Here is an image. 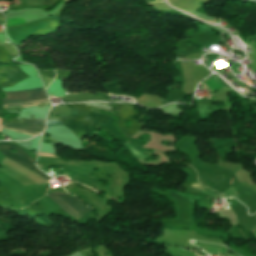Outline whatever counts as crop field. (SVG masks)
<instances>
[{
  "label": "crop field",
  "mask_w": 256,
  "mask_h": 256,
  "mask_svg": "<svg viewBox=\"0 0 256 256\" xmlns=\"http://www.w3.org/2000/svg\"><path fill=\"white\" fill-rule=\"evenodd\" d=\"M204 84L212 92L225 87L224 83L221 80H219L216 76H212L209 80L205 81ZM204 84H202V86L206 87Z\"/></svg>",
  "instance_id": "crop-field-5"
},
{
  "label": "crop field",
  "mask_w": 256,
  "mask_h": 256,
  "mask_svg": "<svg viewBox=\"0 0 256 256\" xmlns=\"http://www.w3.org/2000/svg\"><path fill=\"white\" fill-rule=\"evenodd\" d=\"M58 196H60L65 202H67L69 205L73 206L79 213H81L82 215L89 210L90 208H88L82 201H80L77 198H73L71 196H67L65 194H61V193H56ZM57 195L55 194H49V196L51 197V199L57 204L59 205L61 208H63L64 210H66L73 218L75 219H79L80 215L74 208L70 207L67 203H65L61 198H59ZM65 211V212H66Z\"/></svg>",
  "instance_id": "crop-field-2"
},
{
  "label": "crop field",
  "mask_w": 256,
  "mask_h": 256,
  "mask_svg": "<svg viewBox=\"0 0 256 256\" xmlns=\"http://www.w3.org/2000/svg\"><path fill=\"white\" fill-rule=\"evenodd\" d=\"M224 210H226V209H224Z\"/></svg>",
  "instance_id": "crop-field-11"
},
{
  "label": "crop field",
  "mask_w": 256,
  "mask_h": 256,
  "mask_svg": "<svg viewBox=\"0 0 256 256\" xmlns=\"http://www.w3.org/2000/svg\"><path fill=\"white\" fill-rule=\"evenodd\" d=\"M39 155H44V156H54V155H51V154H43V153H39ZM56 157V156H54Z\"/></svg>",
  "instance_id": "crop-field-9"
},
{
  "label": "crop field",
  "mask_w": 256,
  "mask_h": 256,
  "mask_svg": "<svg viewBox=\"0 0 256 256\" xmlns=\"http://www.w3.org/2000/svg\"><path fill=\"white\" fill-rule=\"evenodd\" d=\"M194 254H196V253H194ZM197 255V254H196ZM197 256H199V255H197Z\"/></svg>",
  "instance_id": "crop-field-10"
},
{
  "label": "crop field",
  "mask_w": 256,
  "mask_h": 256,
  "mask_svg": "<svg viewBox=\"0 0 256 256\" xmlns=\"http://www.w3.org/2000/svg\"><path fill=\"white\" fill-rule=\"evenodd\" d=\"M192 186H194L196 189L208 194L209 196L211 197H218L217 193H215L214 191L208 189V188H205L204 186L196 183V184H192Z\"/></svg>",
  "instance_id": "crop-field-6"
},
{
  "label": "crop field",
  "mask_w": 256,
  "mask_h": 256,
  "mask_svg": "<svg viewBox=\"0 0 256 256\" xmlns=\"http://www.w3.org/2000/svg\"><path fill=\"white\" fill-rule=\"evenodd\" d=\"M10 149H15L17 152L14 154V153L10 152ZM0 152L4 156H6V157H8V158H10V159H12V160L22 164L23 166H25L27 168L32 169L35 173L41 175L43 178H45L47 180L50 179V177H48L47 175L43 174L42 172L39 171V169H37L35 167L34 162L17 145H0Z\"/></svg>",
  "instance_id": "crop-field-3"
},
{
  "label": "crop field",
  "mask_w": 256,
  "mask_h": 256,
  "mask_svg": "<svg viewBox=\"0 0 256 256\" xmlns=\"http://www.w3.org/2000/svg\"><path fill=\"white\" fill-rule=\"evenodd\" d=\"M125 147H127L129 149V151L134 155V157L139 158V159H149L150 156L152 155V152H149L146 149H143L139 146H136L133 143H126L125 145H123ZM145 153H149V155H145Z\"/></svg>",
  "instance_id": "crop-field-4"
},
{
  "label": "crop field",
  "mask_w": 256,
  "mask_h": 256,
  "mask_svg": "<svg viewBox=\"0 0 256 256\" xmlns=\"http://www.w3.org/2000/svg\"><path fill=\"white\" fill-rule=\"evenodd\" d=\"M5 94H6V98H4V103L48 99V96L46 95L44 88L8 91V92H5ZM45 101H49V100L7 103V104H4V106L45 102ZM27 106H31V105H27ZM21 107H26V106H21ZM21 107H18V108H21ZM2 127L13 130V131L27 133L32 136H35L44 131L45 120L21 119V123L11 121L9 124H7L4 122Z\"/></svg>",
  "instance_id": "crop-field-1"
},
{
  "label": "crop field",
  "mask_w": 256,
  "mask_h": 256,
  "mask_svg": "<svg viewBox=\"0 0 256 256\" xmlns=\"http://www.w3.org/2000/svg\"><path fill=\"white\" fill-rule=\"evenodd\" d=\"M22 23H25L24 19H9L7 20L6 26H15Z\"/></svg>",
  "instance_id": "crop-field-7"
},
{
  "label": "crop field",
  "mask_w": 256,
  "mask_h": 256,
  "mask_svg": "<svg viewBox=\"0 0 256 256\" xmlns=\"http://www.w3.org/2000/svg\"><path fill=\"white\" fill-rule=\"evenodd\" d=\"M223 194L226 197L233 196L235 198H238V195H237L236 191L232 187H230L227 191L223 192Z\"/></svg>",
  "instance_id": "crop-field-8"
}]
</instances>
